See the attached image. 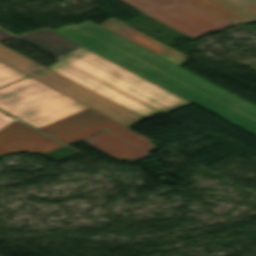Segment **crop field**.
I'll return each mask as SVG.
<instances>
[{"instance_id":"8a807250","label":"crop field","mask_w":256,"mask_h":256,"mask_svg":"<svg viewBox=\"0 0 256 256\" xmlns=\"http://www.w3.org/2000/svg\"><path fill=\"white\" fill-rule=\"evenodd\" d=\"M99 26L86 20L51 30L144 78L156 74L256 125V106Z\"/></svg>"},{"instance_id":"ac0d7876","label":"crop field","mask_w":256,"mask_h":256,"mask_svg":"<svg viewBox=\"0 0 256 256\" xmlns=\"http://www.w3.org/2000/svg\"><path fill=\"white\" fill-rule=\"evenodd\" d=\"M106 127L110 129L83 141L120 160L135 161L145 158L149 155L146 152L153 150L149 143L152 140L90 108L38 129L69 143L91 136Z\"/></svg>"},{"instance_id":"34b2d1b8","label":"crop field","mask_w":256,"mask_h":256,"mask_svg":"<svg viewBox=\"0 0 256 256\" xmlns=\"http://www.w3.org/2000/svg\"><path fill=\"white\" fill-rule=\"evenodd\" d=\"M62 61L161 111L163 114L191 104L84 47Z\"/></svg>"},{"instance_id":"412701ff","label":"crop field","mask_w":256,"mask_h":256,"mask_svg":"<svg viewBox=\"0 0 256 256\" xmlns=\"http://www.w3.org/2000/svg\"><path fill=\"white\" fill-rule=\"evenodd\" d=\"M86 108L30 77L0 88V109L36 128Z\"/></svg>"},{"instance_id":"f4fd0767","label":"crop field","mask_w":256,"mask_h":256,"mask_svg":"<svg viewBox=\"0 0 256 256\" xmlns=\"http://www.w3.org/2000/svg\"><path fill=\"white\" fill-rule=\"evenodd\" d=\"M0 61L89 105L90 108L128 128L144 119L2 44Z\"/></svg>"},{"instance_id":"dd49c442","label":"crop field","mask_w":256,"mask_h":256,"mask_svg":"<svg viewBox=\"0 0 256 256\" xmlns=\"http://www.w3.org/2000/svg\"><path fill=\"white\" fill-rule=\"evenodd\" d=\"M168 26L197 38L232 26L186 0H120Z\"/></svg>"},{"instance_id":"e52e79f7","label":"crop field","mask_w":256,"mask_h":256,"mask_svg":"<svg viewBox=\"0 0 256 256\" xmlns=\"http://www.w3.org/2000/svg\"><path fill=\"white\" fill-rule=\"evenodd\" d=\"M61 146L64 145L19 121L0 130V156L22 151L44 153Z\"/></svg>"},{"instance_id":"d8731c3e","label":"crop field","mask_w":256,"mask_h":256,"mask_svg":"<svg viewBox=\"0 0 256 256\" xmlns=\"http://www.w3.org/2000/svg\"><path fill=\"white\" fill-rule=\"evenodd\" d=\"M61 61L49 68L145 118L160 113Z\"/></svg>"},{"instance_id":"5a996713","label":"crop field","mask_w":256,"mask_h":256,"mask_svg":"<svg viewBox=\"0 0 256 256\" xmlns=\"http://www.w3.org/2000/svg\"><path fill=\"white\" fill-rule=\"evenodd\" d=\"M100 26L178 66L185 63L186 61L187 55L155 40L154 38L120 21L110 19L100 24Z\"/></svg>"},{"instance_id":"3316defc","label":"crop field","mask_w":256,"mask_h":256,"mask_svg":"<svg viewBox=\"0 0 256 256\" xmlns=\"http://www.w3.org/2000/svg\"><path fill=\"white\" fill-rule=\"evenodd\" d=\"M147 79L256 136V126L242 120L241 118L199 98L198 96L156 75L149 77Z\"/></svg>"},{"instance_id":"28ad6ade","label":"crop field","mask_w":256,"mask_h":256,"mask_svg":"<svg viewBox=\"0 0 256 256\" xmlns=\"http://www.w3.org/2000/svg\"><path fill=\"white\" fill-rule=\"evenodd\" d=\"M20 38L60 60L82 47L45 28Z\"/></svg>"},{"instance_id":"d1516ede","label":"crop field","mask_w":256,"mask_h":256,"mask_svg":"<svg viewBox=\"0 0 256 256\" xmlns=\"http://www.w3.org/2000/svg\"><path fill=\"white\" fill-rule=\"evenodd\" d=\"M199 7L213 13L225 21L237 25L256 22V19L224 0H188Z\"/></svg>"},{"instance_id":"22f410ed","label":"crop field","mask_w":256,"mask_h":256,"mask_svg":"<svg viewBox=\"0 0 256 256\" xmlns=\"http://www.w3.org/2000/svg\"><path fill=\"white\" fill-rule=\"evenodd\" d=\"M25 76L27 75L0 62V87Z\"/></svg>"},{"instance_id":"cbeb9de0","label":"crop field","mask_w":256,"mask_h":256,"mask_svg":"<svg viewBox=\"0 0 256 256\" xmlns=\"http://www.w3.org/2000/svg\"><path fill=\"white\" fill-rule=\"evenodd\" d=\"M225 1L231 3L232 5L238 8L256 3V0H225Z\"/></svg>"},{"instance_id":"5142ce71","label":"crop field","mask_w":256,"mask_h":256,"mask_svg":"<svg viewBox=\"0 0 256 256\" xmlns=\"http://www.w3.org/2000/svg\"><path fill=\"white\" fill-rule=\"evenodd\" d=\"M15 38H17V37L0 29V43L4 44V43H6L10 40H13Z\"/></svg>"},{"instance_id":"d9b57169","label":"crop field","mask_w":256,"mask_h":256,"mask_svg":"<svg viewBox=\"0 0 256 256\" xmlns=\"http://www.w3.org/2000/svg\"><path fill=\"white\" fill-rule=\"evenodd\" d=\"M12 120L14 119L0 112V128L10 123Z\"/></svg>"},{"instance_id":"733c2abd","label":"crop field","mask_w":256,"mask_h":256,"mask_svg":"<svg viewBox=\"0 0 256 256\" xmlns=\"http://www.w3.org/2000/svg\"><path fill=\"white\" fill-rule=\"evenodd\" d=\"M241 10L245 11L246 13L254 16L256 18V4L244 8H240Z\"/></svg>"}]
</instances>
